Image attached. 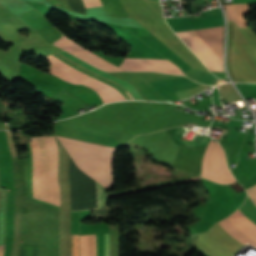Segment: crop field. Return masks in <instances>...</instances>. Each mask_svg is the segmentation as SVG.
<instances>
[{"label":"crop field","mask_w":256,"mask_h":256,"mask_svg":"<svg viewBox=\"0 0 256 256\" xmlns=\"http://www.w3.org/2000/svg\"><path fill=\"white\" fill-rule=\"evenodd\" d=\"M72 256H79V235H72Z\"/></svg>","instance_id":"12"},{"label":"crop field","mask_w":256,"mask_h":256,"mask_svg":"<svg viewBox=\"0 0 256 256\" xmlns=\"http://www.w3.org/2000/svg\"><path fill=\"white\" fill-rule=\"evenodd\" d=\"M4 247H5V244L0 245V256H3L4 254Z\"/></svg>","instance_id":"16"},{"label":"crop field","mask_w":256,"mask_h":256,"mask_svg":"<svg viewBox=\"0 0 256 256\" xmlns=\"http://www.w3.org/2000/svg\"><path fill=\"white\" fill-rule=\"evenodd\" d=\"M33 156L34 197L60 206V188L57 183L58 152L54 136L45 137L46 153V185H45V153L44 137H31Z\"/></svg>","instance_id":"1"},{"label":"crop field","mask_w":256,"mask_h":256,"mask_svg":"<svg viewBox=\"0 0 256 256\" xmlns=\"http://www.w3.org/2000/svg\"><path fill=\"white\" fill-rule=\"evenodd\" d=\"M249 196L252 198L253 202L256 204V184L246 189Z\"/></svg>","instance_id":"14"},{"label":"crop field","mask_w":256,"mask_h":256,"mask_svg":"<svg viewBox=\"0 0 256 256\" xmlns=\"http://www.w3.org/2000/svg\"><path fill=\"white\" fill-rule=\"evenodd\" d=\"M249 4H232L224 6L226 8L227 18L234 21L238 27H246V20L243 19V15L248 14Z\"/></svg>","instance_id":"9"},{"label":"crop field","mask_w":256,"mask_h":256,"mask_svg":"<svg viewBox=\"0 0 256 256\" xmlns=\"http://www.w3.org/2000/svg\"><path fill=\"white\" fill-rule=\"evenodd\" d=\"M68 153L111 163L114 155L113 150L92 146L57 137ZM79 168L87 175L109 189L113 184L112 169L110 164L70 155Z\"/></svg>","instance_id":"2"},{"label":"crop field","mask_w":256,"mask_h":256,"mask_svg":"<svg viewBox=\"0 0 256 256\" xmlns=\"http://www.w3.org/2000/svg\"><path fill=\"white\" fill-rule=\"evenodd\" d=\"M120 67L131 71H160L165 73L182 74V71L168 60L161 59H128Z\"/></svg>","instance_id":"6"},{"label":"crop field","mask_w":256,"mask_h":256,"mask_svg":"<svg viewBox=\"0 0 256 256\" xmlns=\"http://www.w3.org/2000/svg\"><path fill=\"white\" fill-rule=\"evenodd\" d=\"M202 177L219 183H231L234 181L225 163L221 146L211 140L204 155Z\"/></svg>","instance_id":"5"},{"label":"crop field","mask_w":256,"mask_h":256,"mask_svg":"<svg viewBox=\"0 0 256 256\" xmlns=\"http://www.w3.org/2000/svg\"><path fill=\"white\" fill-rule=\"evenodd\" d=\"M222 227L234 238L245 244L246 242L256 246V243L237 229L228 219L219 222ZM247 243V244H248Z\"/></svg>","instance_id":"10"},{"label":"crop field","mask_w":256,"mask_h":256,"mask_svg":"<svg viewBox=\"0 0 256 256\" xmlns=\"http://www.w3.org/2000/svg\"><path fill=\"white\" fill-rule=\"evenodd\" d=\"M204 14L206 17L196 19L186 17L166 18V21L174 32L223 26V19L219 8L205 11ZM194 32L222 61L223 27L197 30Z\"/></svg>","instance_id":"4"},{"label":"crop field","mask_w":256,"mask_h":256,"mask_svg":"<svg viewBox=\"0 0 256 256\" xmlns=\"http://www.w3.org/2000/svg\"><path fill=\"white\" fill-rule=\"evenodd\" d=\"M105 256H109V234H105Z\"/></svg>","instance_id":"15"},{"label":"crop field","mask_w":256,"mask_h":256,"mask_svg":"<svg viewBox=\"0 0 256 256\" xmlns=\"http://www.w3.org/2000/svg\"><path fill=\"white\" fill-rule=\"evenodd\" d=\"M83 2L86 8L102 5L100 0H83Z\"/></svg>","instance_id":"13"},{"label":"crop field","mask_w":256,"mask_h":256,"mask_svg":"<svg viewBox=\"0 0 256 256\" xmlns=\"http://www.w3.org/2000/svg\"><path fill=\"white\" fill-rule=\"evenodd\" d=\"M87 235L81 236V256H86ZM87 256H95V235H88Z\"/></svg>","instance_id":"11"},{"label":"crop field","mask_w":256,"mask_h":256,"mask_svg":"<svg viewBox=\"0 0 256 256\" xmlns=\"http://www.w3.org/2000/svg\"><path fill=\"white\" fill-rule=\"evenodd\" d=\"M61 53L65 54V55H67V56H69V57H71V58H73V59H75V60H77L81 63H83L84 65L92 68L93 70H95V71L101 73L102 75L110 78L111 80L123 85L136 99L143 100V98L141 97V95L135 89V87L133 85H131V84L119 79V78L113 77V76H111V75H109V74H107L103 71H100V70H98V69L94 68L93 66L79 60L78 58L74 57L73 55H71V54H69L65 51H61ZM45 58L50 60L55 65L65 69V70H67V71H69V72H71V73H73V74H75V75H77V76H79V77H81V78H83V79H85V80L103 88V89L108 90L109 92L114 94L117 97L118 100H127V99H129L122 91H120V93L122 95H124L127 99L124 96H122L117 90L105 85L104 83L94 79L93 77L83 73L82 71L72 67L71 65L63 62L62 60H60V59H58V58H56L52 55H49ZM52 63H51V66H50V73H52V74H54L58 77L63 78L65 81L73 82L75 84H85V85L91 87L92 89L96 90L99 93V95H100V97H101V99L103 100L104 103L118 101L115 98V96L112 95L111 93H109V92H107V91H105V90H103V89H101V88H99V87H97V86H95V85H93V84H91V83H89V82H87V81H85V80H83V79H81V78H79V77H77V76L59 68V67H57V66H55V65H53Z\"/></svg>","instance_id":"3"},{"label":"crop field","mask_w":256,"mask_h":256,"mask_svg":"<svg viewBox=\"0 0 256 256\" xmlns=\"http://www.w3.org/2000/svg\"><path fill=\"white\" fill-rule=\"evenodd\" d=\"M54 44L59 47L71 52L75 56L87 61L88 63L107 71H120L122 69L114 66L113 64L103 60L102 58L90 53L89 51L82 48L77 43L71 41L67 37L63 36L59 40H57Z\"/></svg>","instance_id":"7"},{"label":"crop field","mask_w":256,"mask_h":256,"mask_svg":"<svg viewBox=\"0 0 256 256\" xmlns=\"http://www.w3.org/2000/svg\"><path fill=\"white\" fill-rule=\"evenodd\" d=\"M228 219L247 236L256 241V225L248 220L239 210L228 217Z\"/></svg>","instance_id":"8"}]
</instances>
